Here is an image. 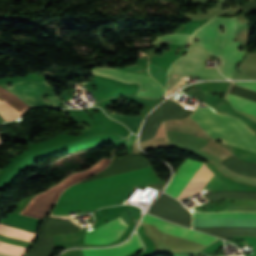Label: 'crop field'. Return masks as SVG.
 I'll return each instance as SVG.
<instances>
[{
  "label": "crop field",
  "instance_id": "obj_13",
  "mask_svg": "<svg viewBox=\"0 0 256 256\" xmlns=\"http://www.w3.org/2000/svg\"><path fill=\"white\" fill-rule=\"evenodd\" d=\"M191 35L188 34H171L158 37L152 44L156 43H178L186 44L189 42Z\"/></svg>",
  "mask_w": 256,
  "mask_h": 256
},
{
  "label": "crop field",
  "instance_id": "obj_8",
  "mask_svg": "<svg viewBox=\"0 0 256 256\" xmlns=\"http://www.w3.org/2000/svg\"><path fill=\"white\" fill-rule=\"evenodd\" d=\"M203 164L204 163L202 162L187 158V160L179 167L176 175L174 174L175 177L166 188L165 192L178 198Z\"/></svg>",
  "mask_w": 256,
  "mask_h": 256
},
{
  "label": "crop field",
  "instance_id": "obj_3",
  "mask_svg": "<svg viewBox=\"0 0 256 256\" xmlns=\"http://www.w3.org/2000/svg\"><path fill=\"white\" fill-rule=\"evenodd\" d=\"M206 57L207 53L202 47L191 45L189 53L171 65L167 94L185 86L187 75H195L204 80L225 79L217 69H203Z\"/></svg>",
  "mask_w": 256,
  "mask_h": 256
},
{
  "label": "crop field",
  "instance_id": "obj_11",
  "mask_svg": "<svg viewBox=\"0 0 256 256\" xmlns=\"http://www.w3.org/2000/svg\"><path fill=\"white\" fill-rule=\"evenodd\" d=\"M193 218H252V219H256V213H244V212L199 213V212L194 211Z\"/></svg>",
  "mask_w": 256,
  "mask_h": 256
},
{
  "label": "crop field",
  "instance_id": "obj_14",
  "mask_svg": "<svg viewBox=\"0 0 256 256\" xmlns=\"http://www.w3.org/2000/svg\"><path fill=\"white\" fill-rule=\"evenodd\" d=\"M249 246H256V237H245Z\"/></svg>",
  "mask_w": 256,
  "mask_h": 256
},
{
  "label": "crop field",
  "instance_id": "obj_4",
  "mask_svg": "<svg viewBox=\"0 0 256 256\" xmlns=\"http://www.w3.org/2000/svg\"><path fill=\"white\" fill-rule=\"evenodd\" d=\"M92 73L117 79L126 83H139V91L137 93V95L139 96L161 98L162 95L165 94L164 89L151 77L134 75L103 67H97L92 69ZM140 89H144L146 90V92L140 93Z\"/></svg>",
  "mask_w": 256,
  "mask_h": 256
},
{
  "label": "crop field",
  "instance_id": "obj_9",
  "mask_svg": "<svg viewBox=\"0 0 256 256\" xmlns=\"http://www.w3.org/2000/svg\"><path fill=\"white\" fill-rule=\"evenodd\" d=\"M140 247H142V244L137 234H134L130 240L121 246L108 249H89L82 251L84 256H126Z\"/></svg>",
  "mask_w": 256,
  "mask_h": 256
},
{
  "label": "crop field",
  "instance_id": "obj_10",
  "mask_svg": "<svg viewBox=\"0 0 256 256\" xmlns=\"http://www.w3.org/2000/svg\"><path fill=\"white\" fill-rule=\"evenodd\" d=\"M234 84L256 91V82H234ZM227 99L230 102H232L233 104H235L236 106H238L239 108L256 116V103L255 102H253L251 100L231 96V95H228Z\"/></svg>",
  "mask_w": 256,
  "mask_h": 256
},
{
  "label": "crop field",
  "instance_id": "obj_2",
  "mask_svg": "<svg viewBox=\"0 0 256 256\" xmlns=\"http://www.w3.org/2000/svg\"><path fill=\"white\" fill-rule=\"evenodd\" d=\"M190 117L212 139L221 138L224 141L256 150V137L241 120L232 116L216 114L206 106L198 107Z\"/></svg>",
  "mask_w": 256,
  "mask_h": 256
},
{
  "label": "crop field",
  "instance_id": "obj_15",
  "mask_svg": "<svg viewBox=\"0 0 256 256\" xmlns=\"http://www.w3.org/2000/svg\"><path fill=\"white\" fill-rule=\"evenodd\" d=\"M1 243V242H0ZM1 253V252H0ZM4 254V253H3ZM3 254H0V256H7V255H3Z\"/></svg>",
  "mask_w": 256,
  "mask_h": 256
},
{
  "label": "crop field",
  "instance_id": "obj_6",
  "mask_svg": "<svg viewBox=\"0 0 256 256\" xmlns=\"http://www.w3.org/2000/svg\"><path fill=\"white\" fill-rule=\"evenodd\" d=\"M127 227L128 225L120 216L98 228L93 229L95 232L91 234H89L88 232L85 233V243H109L113 240L118 239Z\"/></svg>",
  "mask_w": 256,
  "mask_h": 256
},
{
  "label": "crop field",
  "instance_id": "obj_7",
  "mask_svg": "<svg viewBox=\"0 0 256 256\" xmlns=\"http://www.w3.org/2000/svg\"><path fill=\"white\" fill-rule=\"evenodd\" d=\"M142 221L155 225L162 232H166L172 235H176V236L186 238V239L196 241L206 245L218 239V238H214L205 234H201V233L159 220L149 214H145Z\"/></svg>",
  "mask_w": 256,
  "mask_h": 256
},
{
  "label": "crop field",
  "instance_id": "obj_16",
  "mask_svg": "<svg viewBox=\"0 0 256 256\" xmlns=\"http://www.w3.org/2000/svg\"><path fill=\"white\" fill-rule=\"evenodd\" d=\"M79 86H81V84Z\"/></svg>",
  "mask_w": 256,
  "mask_h": 256
},
{
  "label": "crop field",
  "instance_id": "obj_12",
  "mask_svg": "<svg viewBox=\"0 0 256 256\" xmlns=\"http://www.w3.org/2000/svg\"><path fill=\"white\" fill-rule=\"evenodd\" d=\"M109 116L124 123L134 133H137L138 127L144 118V117H129V116H125V115H118L114 112L111 113Z\"/></svg>",
  "mask_w": 256,
  "mask_h": 256
},
{
  "label": "crop field",
  "instance_id": "obj_5",
  "mask_svg": "<svg viewBox=\"0 0 256 256\" xmlns=\"http://www.w3.org/2000/svg\"><path fill=\"white\" fill-rule=\"evenodd\" d=\"M0 86L16 94L18 97L23 99L31 107L33 106L59 107L56 96L49 97L51 102L43 101L42 93L46 88L50 87V85L46 81H43V82L23 81V82L13 83L11 88L6 87L5 84H0Z\"/></svg>",
  "mask_w": 256,
  "mask_h": 256
},
{
  "label": "crop field",
  "instance_id": "obj_1",
  "mask_svg": "<svg viewBox=\"0 0 256 256\" xmlns=\"http://www.w3.org/2000/svg\"><path fill=\"white\" fill-rule=\"evenodd\" d=\"M220 25L225 26V33H220ZM235 30V17H215L197 30L190 41L192 44L201 45L208 56L213 54L219 57L221 66L217 67L225 77L230 79L237 63L246 53L238 50L239 44L232 41ZM195 38H199L198 43L193 42Z\"/></svg>",
  "mask_w": 256,
  "mask_h": 256
},
{
  "label": "crop field",
  "instance_id": "obj_17",
  "mask_svg": "<svg viewBox=\"0 0 256 256\" xmlns=\"http://www.w3.org/2000/svg\"><path fill=\"white\" fill-rule=\"evenodd\" d=\"M242 254V253H241Z\"/></svg>",
  "mask_w": 256,
  "mask_h": 256
}]
</instances>
